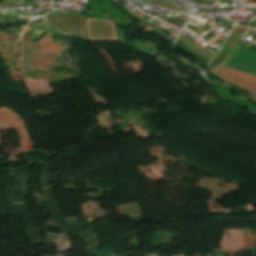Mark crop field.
<instances>
[{
    "label": "crop field",
    "instance_id": "crop-field-1",
    "mask_svg": "<svg viewBox=\"0 0 256 256\" xmlns=\"http://www.w3.org/2000/svg\"><path fill=\"white\" fill-rule=\"evenodd\" d=\"M222 65L256 75V51L238 46ZM224 66L220 65L214 74L254 93L250 100L256 102V76Z\"/></svg>",
    "mask_w": 256,
    "mask_h": 256
}]
</instances>
